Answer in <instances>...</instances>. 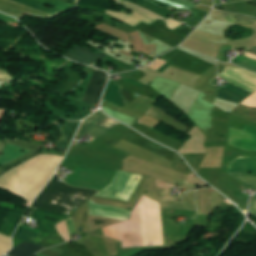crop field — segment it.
<instances>
[{
    "instance_id": "1",
    "label": "crop field",
    "mask_w": 256,
    "mask_h": 256,
    "mask_svg": "<svg viewBox=\"0 0 256 256\" xmlns=\"http://www.w3.org/2000/svg\"><path fill=\"white\" fill-rule=\"evenodd\" d=\"M102 230L104 236L122 242L123 248L164 245L160 205L144 195L130 220L103 227Z\"/></svg>"
},
{
    "instance_id": "2",
    "label": "crop field",
    "mask_w": 256,
    "mask_h": 256,
    "mask_svg": "<svg viewBox=\"0 0 256 256\" xmlns=\"http://www.w3.org/2000/svg\"><path fill=\"white\" fill-rule=\"evenodd\" d=\"M61 160L62 157L58 156H38L2 175L0 187L32 202L49 181Z\"/></svg>"
},
{
    "instance_id": "3",
    "label": "crop field",
    "mask_w": 256,
    "mask_h": 256,
    "mask_svg": "<svg viewBox=\"0 0 256 256\" xmlns=\"http://www.w3.org/2000/svg\"><path fill=\"white\" fill-rule=\"evenodd\" d=\"M58 178L55 174L32 204V207L68 214L71 208H78L88 198L97 193L94 190L70 187L66 183L58 181Z\"/></svg>"
},
{
    "instance_id": "4",
    "label": "crop field",
    "mask_w": 256,
    "mask_h": 256,
    "mask_svg": "<svg viewBox=\"0 0 256 256\" xmlns=\"http://www.w3.org/2000/svg\"><path fill=\"white\" fill-rule=\"evenodd\" d=\"M127 174L128 177L126 176ZM136 177H138L137 180H135ZM148 179V177L144 179V176L118 171L112 183L101 190L96 196L134 202Z\"/></svg>"
},
{
    "instance_id": "5",
    "label": "crop field",
    "mask_w": 256,
    "mask_h": 256,
    "mask_svg": "<svg viewBox=\"0 0 256 256\" xmlns=\"http://www.w3.org/2000/svg\"><path fill=\"white\" fill-rule=\"evenodd\" d=\"M13 144V145H17V146H21V147H25V148H29V149H33V150H36L32 153H29L33 150H29V149H25V148H21V147H17V146H13V145H9V144ZM7 144V146H6ZM6 146V147H5ZM5 147V149H4ZM4 149V150H3ZM24 150L26 152L22 153L20 150ZM3 150V151H2ZM41 150V147L40 146H37L35 144H32V143H29V142H26V141H23L21 139H18L16 138L15 141L13 140H10L8 138L5 139L4 142L0 141V153L2 151V153H4V156H1L2 153L0 154V165L2 164V166H4L5 164L9 163L10 161L26 154V153H29L7 165H5L4 167H2L0 169V174L5 172L7 169L11 168V167H14L30 158H32L33 156L39 154Z\"/></svg>"
},
{
    "instance_id": "6",
    "label": "crop field",
    "mask_w": 256,
    "mask_h": 256,
    "mask_svg": "<svg viewBox=\"0 0 256 256\" xmlns=\"http://www.w3.org/2000/svg\"><path fill=\"white\" fill-rule=\"evenodd\" d=\"M120 123L108 118L102 112L97 111L94 115L84 120L78 136L89 133L94 139L109 131Z\"/></svg>"
},
{
    "instance_id": "7",
    "label": "crop field",
    "mask_w": 256,
    "mask_h": 256,
    "mask_svg": "<svg viewBox=\"0 0 256 256\" xmlns=\"http://www.w3.org/2000/svg\"><path fill=\"white\" fill-rule=\"evenodd\" d=\"M229 143L245 151H256V129L244 126L240 130L230 127Z\"/></svg>"
},
{
    "instance_id": "8",
    "label": "crop field",
    "mask_w": 256,
    "mask_h": 256,
    "mask_svg": "<svg viewBox=\"0 0 256 256\" xmlns=\"http://www.w3.org/2000/svg\"><path fill=\"white\" fill-rule=\"evenodd\" d=\"M106 77L107 74L105 72L95 69L83 101L89 104L98 103Z\"/></svg>"
},
{
    "instance_id": "9",
    "label": "crop field",
    "mask_w": 256,
    "mask_h": 256,
    "mask_svg": "<svg viewBox=\"0 0 256 256\" xmlns=\"http://www.w3.org/2000/svg\"><path fill=\"white\" fill-rule=\"evenodd\" d=\"M235 86V85H234ZM233 85L229 84L225 87H221L217 89L216 97L235 102L237 104L241 103L243 100H245L251 93H248L246 91H242Z\"/></svg>"
},
{
    "instance_id": "10",
    "label": "crop field",
    "mask_w": 256,
    "mask_h": 256,
    "mask_svg": "<svg viewBox=\"0 0 256 256\" xmlns=\"http://www.w3.org/2000/svg\"><path fill=\"white\" fill-rule=\"evenodd\" d=\"M89 208H90V215H96V216L129 218L130 212H131L129 210L98 205L91 201L89 202Z\"/></svg>"
},
{
    "instance_id": "11",
    "label": "crop field",
    "mask_w": 256,
    "mask_h": 256,
    "mask_svg": "<svg viewBox=\"0 0 256 256\" xmlns=\"http://www.w3.org/2000/svg\"><path fill=\"white\" fill-rule=\"evenodd\" d=\"M65 56L76 60L78 62L87 63L94 65V60H97L98 58L103 59L106 57V55L100 53V54H93L91 53V50L87 47H79L77 46L73 50L69 51Z\"/></svg>"
},
{
    "instance_id": "12",
    "label": "crop field",
    "mask_w": 256,
    "mask_h": 256,
    "mask_svg": "<svg viewBox=\"0 0 256 256\" xmlns=\"http://www.w3.org/2000/svg\"><path fill=\"white\" fill-rule=\"evenodd\" d=\"M117 1L122 2V0H117ZM120 2H117V3L121 4ZM122 5L126 6L127 8H129L133 11L132 15H129V16L137 18V19H139L143 22H146L148 24H150L158 19L164 20V18H162V17H160V16L134 4V3L123 1ZM122 13H124V12H122ZM124 14H126V13H124Z\"/></svg>"
},
{
    "instance_id": "13",
    "label": "crop field",
    "mask_w": 256,
    "mask_h": 256,
    "mask_svg": "<svg viewBox=\"0 0 256 256\" xmlns=\"http://www.w3.org/2000/svg\"><path fill=\"white\" fill-rule=\"evenodd\" d=\"M214 19L238 23L251 28L256 18L213 10L211 13Z\"/></svg>"
},
{
    "instance_id": "14",
    "label": "crop field",
    "mask_w": 256,
    "mask_h": 256,
    "mask_svg": "<svg viewBox=\"0 0 256 256\" xmlns=\"http://www.w3.org/2000/svg\"><path fill=\"white\" fill-rule=\"evenodd\" d=\"M0 7L4 8V9H7L9 11H12V12L20 14V15H18V14H15V13H12V12L0 9V11L10 13V14L18 17L19 19L21 18V16L23 14H26V13L42 15V16H51V15L45 14L43 12L31 9L29 7H26V6H23V5L11 2L9 0H0Z\"/></svg>"
},
{
    "instance_id": "15",
    "label": "crop field",
    "mask_w": 256,
    "mask_h": 256,
    "mask_svg": "<svg viewBox=\"0 0 256 256\" xmlns=\"http://www.w3.org/2000/svg\"><path fill=\"white\" fill-rule=\"evenodd\" d=\"M79 123L80 122L68 121L64 126H62L60 131L63 134H62V138L60 139V142H58V150L64 151V152L67 151Z\"/></svg>"
},
{
    "instance_id": "16",
    "label": "crop field",
    "mask_w": 256,
    "mask_h": 256,
    "mask_svg": "<svg viewBox=\"0 0 256 256\" xmlns=\"http://www.w3.org/2000/svg\"><path fill=\"white\" fill-rule=\"evenodd\" d=\"M229 172L256 173V158H238L236 159Z\"/></svg>"
},
{
    "instance_id": "17",
    "label": "crop field",
    "mask_w": 256,
    "mask_h": 256,
    "mask_svg": "<svg viewBox=\"0 0 256 256\" xmlns=\"http://www.w3.org/2000/svg\"><path fill=\"white\" fill-rule=\"evenodd\" d=\"M120 89L121 86L113 83V82H109V86L107 89V92L105 94L104 97V101L112 103L114 105H117L119 107H122L125 105L126 101L125 99L119 94L120 93Z\"/></svg>"
},
{
    "instance_id": "18",
    "label": "crop field",
    "mask_w": 256,
    "mask_h": 256,
    "mask_svg": "<svg viewBox=\"0 0 256 256\" xmlns=\"http://www.w3.org/2000/svg\"><path fill=\"white\" fill-rule=\"evenodd\" d=\"M44 249L43 246L33 243L23 242L12 249L7 255L9 256H32L38 251Z\"/></svg>"
},
{
    "instance_id": "19",
    "label": "crop field",
    "mask_w": 256,
    "mask_h": 256,
    "mask_svg": "<svg viewBox=\"0 0 256 256\" xmlns=\"http://www.w3.org/2000/svg\"><path fill=\"white\" fill-rule=\"evenodd\" d=\"M39 236H40L39 231L30 227L20 225V227L17 229L13 238H17L22 241L37 243L41 241L39 239Z\"/></svg>"
},
{
    "instance_id": "20",
    "label": "crop field",
    "mask_w": 256,
    "mask_h": 256,
    "mask_svg": "<svg viewBox=\"0 0 256 256\" xmlns=\"http://www.w3.org/2000/svg\"><path fill=\"white\" fill-rule=\"evenodd\" d=\"M61 69H63L64 71H66L68 73V75L70 76V80L64 85L62 86L57 92L61 93V94H66L67 92H69L75 85H77L81 79H82V74L79 72H76L72 69H70L67 66H63L61 67ZM62 95V96H63Z\"/></svg>"
},
{
    "instance_id": "21",
    "label": "crop field",
    "mask_w": 256,
    "mask_h": 256,
    "mask_svg": "<svg viewBox=\"0 0 256 256\" xmlns=\"http://www.w3.org/2000/svg\"><path fill=\"white\" fill-rule=\"evenodd\" d=\"M12 1L29 6L31 8H34V9H37L40 11H43V12L51 14V15L64 12V10H60V9H56V8H54L53 10L48 9V8L44 7V4H41V3L33 1V0H12Z\"/></svg>"
},
{
    "instance_id": "22",
    "label": "crop field",
    "mask_w": 256,
    "mask_h": 256,
    "mask_svg": "<svg viewBox=\"0 0 256 256\" xmlns=\"http://www.w3.org/2000/svg\"><path fill=\"white\" fill-rule=\"evenodd\" d=\"M247 187L256 189V174L228 173Z\"/></svg>"
},
{
    "instance_id": "23",
    "label": "crop field",
    "mask_w": 256,
    "mask_h": 256,
    "mask_svg": "<svg viewBox=\"0 0 256 256\" xmlns=\"http://www.w3.org/2000/svg\"><path fill=\"white\" fill-rule=\"evenodd\" d=\"M107 14L112 15V16H114V17H116V18H118V19H120V20H122V21H124V22H126L128 24H131L133 26H135V25H137V24H139L141 22V21H139L137 19H134L132 17H129V16L124 15V14L119 13V12L107 11Z\"/></svg>"
},
{
    "instance_id": "24",
    "label": "crop field",
    "mask_w": 256,
    "mask_h": 256,
    "mask_svg": "<svg viewBox=\"0 0 256 256\" xmlns=\"http://www.w3.org/2000/svg\"><path fill=\"white\" fill-rule=\"evenodd\" d=\"M10 247H11L10 238L0 234V256L7 253Z\"/></svg>"
},
{
    "instance_id": "25",
    "label": "crop field",
    "mask_w": 256,
    "mask_h": 256,
    "mask_svg": "<svg viewBox=\"0 0 256 256\" xmlns=\"http://www.w3.org/2000/svg\"><path fill=\"white\" fill-rule=\"evenodd\" d=\"M39 1L48 3V4H51V5H54V6L66 9V10H69V9H72L75 7V5H72V4H69V3H66V2H63L60 0H39Z\"/></svg>"
},
{
    "instance_id": "26",
    "label": "crop field",
    "mask_w": 256,
    "mask_h": 256,
    "mask_svg": "<svg viewBox=\"0 0 256 256\" xmlns=\"http://www.w3.org/2000/svg\"><path fill=\"white\" fill-rule=\"evenodd\" d=\"M164 64H166L165 61H162L160 59H156L151 65H149V67L153 68V69H158L159 67L163 66ZM170 65H164L163 67L159 68L158 70L156 71H159V72H164Z\"/></svg>"
},
{
    "instance_id": "27",
    "label": "crop field",
    "mask_w": 256,
    "mask_h": 256,
    "mask_svg": "<svg viewBox=\"0 0 256 256\" xmlns=\"http://www.w3.org/2000/svg\"><path fill=\"white\" fill-rule=\"evenodd\" d=\"M57 229L59 231V233L61 234V236L63 237V239L65 240V242L69 241V235H68V231H67V227L65 222H61L59 224L56 225Z\"/></svg>"
},
{
    "instance_id": "28",
    "label": "crop field",
    "mask_w": 256,
    "mask_h": 256,
    "mask_svg": "<svg viewBox=\"0 0 256 256\" xmlns=\"http://www.w3.org/2000/svg\"><path fill=\"white\" fill-rule=\"evenodd\" d=\"M166 21V24H168V25H170V26H172V27H174V28H176V27H178V26H180V25H183V24H181V23H179V22H177V21H175V20H173V19H171V18H168V19H166L165 20ZM169 27V26H168ZM171 28V27H170ZM173 29V28H172Z\"/></svg>"
},
{
    "instance_id": "29",
    "label": "crop field",
    "mask_w": 256,
    "mask_h": 256,
    "mask_svg": "<svg viewBox=\"0 0 256 256\" xmlns=\"http://www.w3.org/2000/svg\"><path fill=\"white\" fill-rule=\"evenodd\" d=\"M12 79L13 78L9 74H7L3 71H0V80L12 81Z\"/></svg>"
},
{
    "instance_id": "30",
    "label": "crop field",
    "mask_w": 256,
    "mask_h": 256,
    "mask_svg": "<svg viewBox=\"0 0 256 256\" xmlns=\"http://www.w3.org/2000/svg\"><path fill=\"white\" fill-rule=\"evenodd\" d=\"M91 114L89 111L85 110L82 113H80L79 115H77L76 118H72L70 120H78V119H83L85 118L87 115Z\"/></svg>"
},
{
    "instance_id": "31",
    "label": "crop field",
    "mask_w": 256,
    "mask_h": 256,
    "mask_svg": "<svg viewBox=\"0 0 256 256\" xmlns=\"http://www.w3.org/2000/svg\"><path fill=\"white\" fill-rule=\"evenodd\" d=\"M172 1H175V2H178V3H181V4H184V5H187V6H190V7H195L197 5L195 4H192V3H188V2H185V1H182V0H172Z\"/></svg>"
},
{
    "instance_id": "32",
    "label": "crop field",
    "mask_w": 256,
    "mask_h": 256,
    "mask_svg": "<svg viewBox=\"0 0 256 256\" xmlns=\"http://www.w3.org/2000/svg\"><path fill=\"white\" fill-rule=\"evenodd\" d=\"M235 196H237V197H239V198H241V199H243V200H245V201H247V199H248V196H246V195L240 193L239 191H236Z\"/></svg>"
},
{
    "instance_id": "33",
    "label": "crop field",
    "mask_w": 256,
    "mask_h": 256,
    "mask_svg": "<svg viewBox=\"0 0 256 256\" xmlns=\"http://www.w3.org/2000/svg\"><path fill=\"white\" fill-rule=\"evenodd\" d=\"M248 52H251V53H253V54H256V47L253 48V49H251V50H249ZM248 52H246L245 55H248V56H250V57L256 58V55L250 54V53H248Z\"/></svg>"
},
{
    "instance_id": "34",
    "label": "crop field",
    "mask_w": 256,
    "mask_h": 256,
    "mask_svg": "<svg viewBox=\"0 0 256 256\" xmlns=\"http://www.w3.org/2000/svg\"><path fill=\"white\" fill-rule=\"evenodd\" d=\"M247 3L256 6V2L253 1V0H250V1H248Z\"/></svg>"
},
{
    "instance_id": "35",
    "label": "crop field",
    "mask_w": 256,
    "mask_h": 256,
    "mask_svg": "<svg viewBox=\"0 0 256 256\" xmlns=\"http://www.w3.org/2000/svg\"><path fill=\"white\" fill-rule=\"evenodd\" d=\"M215 8L224 10V8H223V7L215 6Z\"/></svg>"
},
{
    "instance_id": "36",
    "label": "crop field",
    "mask_w": 256,
    "mask_h": 256,
    "mask_svg": "<svg viewBox=\"0 0 256 256\" xmlns=\"http://www.w3.org/2000/svg\"><path fill=\"white\" fill-rule=\"evenodd\" d=\"M65 1H70V2L76 3V0H65Z\"/></svg>"
},
{
    "instance_id": "37",
    "label": "crop field",
    "mask_w": 256,
    "mask_h": 256,
    "mask_svg": "<svg viewBox=\"0 0 256 256\" xmlns=\"http://www.w3.org/2000/svg\"><path fill=\"white\" fill-rule=\"evenodd\" d=\"M187 1H189V0H187Z\"/></svg>"
},
{
    "instance_id": "38",
    "label": "crop field",
    "mask_w": 256,
    "mask_h": 256,
    "mask_svg": "<svg viewBox=\"0 0 256 256\" xmlns=\"http://www.w3.org/2000/svg\"><path fill=\"white\" fill-rule=\"evenodd\" d=\"M121 54V53H120ZM123 55V54H122Z\"/></svg>"
}]
</instances>
